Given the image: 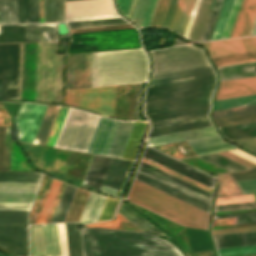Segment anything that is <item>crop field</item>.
<instances>
[{
	"label": "crop field",
	"mask_w": 256,
	"mask_h": 256,
	"mask_svg": "<svg viewBox=\"0 0 256 256\" xmlns=\"http://www.w3.org/2000/svg\"><path fill=\"white\" fill-rule=\"evenodd\" d=\"M237 144L241 145L242 147L256 153V137L248 138V139H241L235 140Z\"/></svg>",
	"instance_id": "obj_68"
},
{
	"label": "crop field",
	"mask_w": 256,
	"mask_h": 256,
	"mask_svg": "<svg viewBox=\"0 0 256 256\" xmlns=\"http://www.w3.org/2000/svg\"><path fill=\"white\" fill-rule=\"evenodd\" d=\"M156 3H157V0H150L149 5H148V8H147V11H146V14H145V17H144V20H143V23H142V26H141V27H148V26H149V23H150V20H151L152 15H153V12H154V9H155V6H156Z\"/></svg>",
	"instance_id": "obj_69"
},
{
	"label": "crop field",
	"mask_w": 256,
	"mask_h": 256,
	"mask_svg": "<svg viewBox=\"0 0 256 256\" xmlns=\"http://www.w3.org/2000/svg\"><path fill=\"white\" fill-rule=\"evenodd\" d=\"M31 204L0 203V210H28Z\"/></svg>",
	"instance_id": "obj_70"
},
{
	"label": "crop field",
	"mask_w": 256,
	"mask_h": 256,
	"mask_svg": "<svg viewBox=\"0 0 256 256\" xmlns=\"http://www.w3.org/2000/svg\"><path fill=\"white\" fill-rule=\"evenodd\" d=\"M230 152H232V153H234V154H236V155H238L242 158H245V159H247V160L256 164V158H254V157H252V156H250V155H248V154H246V153H244L240 150H234V151H230Z\"/></svg>",
	"instance_id": "obj_78"
},
{
	"label": "crop field",
	"mask_w": 256,
	"mask_h": 256,
	"mask_svg": "<svg viewBox=\"0 0 256 256\" xmlns=\"http://www.w3.org/2000/svg\"><path fill=\"white\" fill-rule=\"evenodd\" d=\"M134 178L209 213L210 198L160 174L139 166Z\"/></svg>",
	"instance_id": "obj_5"
},
{
	"label": "crop field",
	"mask_w": 256,
	"mask_h": 256,
	"mask_svg": "<svg viewBox=\"0 0 256 256\" xmlns=\"http://www.w3.org/2000/svg\"><path fill=\"white\" fill-rule=\"evenodd\" d=\"M0 246L16 255H28V228L0 227Z\"/></svg>",
	"instance_id": "obj_15"
},
{
	"label": "crop field",
	"mask_w": 256,
	"mask_h": 256,
	"mask_svg": "<svg viewBox=\"0 0 256 256\" xmlns=\"http://www.w3.org/2000/svg\"><path fill=\"white\" fill-rule=\"evenodd\" d=\"M216 127L256 121V113L213 119ZM223 138L230 140L256 136V122L218 128ZM226 140V141H227Z\"/></svg>",
	"instance_id": "obj_11"
},
{
	"label": "crop field",
	"mask_w": 256,
	"mask_h": 256,
	"mask_svg": "<svg viewBox=\"0 0 256 256\" xmlns=\"http://www.w3.org/2000/svg\"><path fill=\"white\" fill-rule=\"evenodd\" d=\"M124 23H127V22L125 20H123L122 18H116V19L72 22V23H67V25H68L69 29H74V28H84V27L124 24Z\"/></svg>",
	"instance_id": "obj_50"
},
{
	"label": "crop field",
	"mask_w": 256,
	"mask_h": 256,
	"mask_svg": "<svg viewBox=\"0 0 256 256\" xmlns=\"http://www.w3.org/2000/svg\"><path fill=\"white\" fill-rule=\"evenodd\" d=\"M42 176L40 173L0 172V182L39 183Z\"/></svg>",
	"instance_id": "obj_35"
},
{
	"label": "crop field",
	"mask_w": 256,
	"mask_h": 256,
	"mask_svg": "<svg viewBox=\"0 0 256 256\" xmlns=\"http://www.w3.org/2000/svg\"><path fill=\"white\" fill-rule=\"evenodd\" d=\"M4 126H0V170L9 171L10 146L9 153H6V145H3ZM11 138V133H10Z\"/></svg>",
	"instance_id": "obj_55"
},
{
	"label": "crop field",
	"mask_w": 256,
	"mask_h": 256,
	"mask_svg": "<svg viewBox=\"0 0 256 256\" xmlns=\"http://www.w3.org/2000/svg\"><path fill=\"white\" fill-rule=\"evenodd\" d=\"M46 107V105L21 104L15 119L21 142H33Z\"/></svg>",
	"instance_id": "obj_12"
},
{
	"label": "crop field",
	"mask_w": 256,
	"mask_h": 256,
	"mask_svg": "<svg viewBox=\"0 0 256 256\" xmlns=\"http://www.w3.org/2000/svg\"><path fill=\"white\" fill-rule=\"evenodd\" d=\"M130 28H134V27H132L130 24H124V25H114V26L74 29V30H70V32H71V34H77V33L98 32V31L130 29Z\"/></svg>",
	"instance_id": "obj_58"
},
{
	"label": "crop field",
	"mask_w": 256,
	"mask_h": 256,
	"mask_svg": "<svg viewBox=\"0 0 256 256\" xmlns=\"http://www.w3.org/2000/svg\"><path fill=\"white\" fill-rule=\"evenodd\" d=\"M219 154L224 156V157H227V158H229L231 160H234V161H236V162H238L240 164H243V165H245V166H247L249 168H252V167L256 166L255 164H253V163H251V162H249V161H247L245 159H242V158H240V157H238V156H236V155H234V154H232L230 152L219 153Z\"/></svg>",
	"instance_id": "obj_71"
},
{
	"label": "crop field",
	"mask_w": 256,
	"mask_h": 256,
	"mask_svg": "<svg viewBox=\"0 0 256 256\" xmlns=\"http://www.w3.org/2000/svg\"><path fill=\"white\" fill-rule=\"evenodd\" d=\"M117 86L67 90L65 104L113 117Z\"/></svg>",
	"instance_id": "obj_6"
},
{
	"label": "crop field",
	"mask_w": 256,
	"mask_h": 256,
	"mask_svg": "<svg viewBox=\"0 0 256 256\" xmlns=\"http://www.w3.org/2000/svg\"><path fill=\"white\" fill-rule=\"evenodd\" d=\"M233 0H224L210 40L219 39Z\"/></svg>",
	"instance_id": "obj_49"
},
{
	"label": "crop field",
	"mask_w": 256,
	"mask_h": 256,
	"mask_svg": "<svg viewBox=\"0 0 256 256\" xmlns=\"http://www.w3.org/2000/svg\"><path fill=\"white\" fill-rule=\"evenodd\" d=\"M111 159L93 155L82 185L99 191Z\"/></svg>",
	"instance_id": "obj_21"
},
{
	"label": "crop field",
	"mask_w": 256,
	"mask_h": 256,
	"mask_svg": "<svg viewBox=\"0 0 256 256\" xmlns=\"http://www.w3.org/2000/svg\"><path fill=\"white\" fill-rule=\"evenodd\" d=\"M200 158H202L212 164H215L229 172L243 171V170L249 169L243 165L233 162V161H231L227 158H224L218 154L200 156Z\"/></svg>",
	"instance_id": "obj_43"
},
{
	"label": "crop field",
	"mask_w": 256,
	"mask_h": 256,
	"mask_svg": "<svg viewBox=\"0 0 256 256\" xmlns=\"http://www.w3.org/2000/svg\"><path fill=\"white\" fill-rule=\"evenodd\" d=\"M252 201L250 195L217 198L216 205Z\"/></svg>",
	"instance_id": "obj_63"
},
{
	"label": "crop field",
	"mask_w": 256,
	"mask_h": 256,
	"mask_svg": "<svg viewBox=\"0 0 256 256\" xmlns=\"http://www.w3.org/2000/svg\"><path fill=\"white\" fill-rule=\"evenodd\" d=\"M209 52L210 58L254 51L256 50V36L239 39L199 43Z\"/></svg>",
	"instance_id": "obj_14"
},
{
	"label": "crop field",
	"mask_w": 256,
	"mask_h": 256,
	"mask_svg": "<svg viewBox=\"0 0 256 256\" xmlns=\"http://www.w3.org/2000/svg\"><path fill=\"white\" fill-rule=\"evenodd\" d=\"M217 250H218L219 256L256 253V245L244 246V247H233V248H222Z\"/></svg>",
	"instance_id": "obj_57"
},
{
	"label": "crop field",
	"mask_w": 256,
	"mask_h": 256,
	"mask_svg": "<svg viewBox=\"0 0 256 256\" xmlns=\"http://www.w3.org/2000/svg\"><path fill=\"white\" fill-rule=\"evenodd\" d=\"M142 84H138L133 120H138Z\"/></svg>",
	"instance_id": "obj_74"
},
{
	"label": "crop field",
	"mask_w": 256,
	"mask_h": 256,
	"mask_svg": "<svg viewBox=\"0 0 256 256\" xmlns=\"http://www.w3.org/2000/svg\"><path fill=\"white\" fill-rule=\"evenodd\" d=\"M212 3L213 0H201L188 39L194 42H198L200 40Z\"/></svg>",
	"instance_id": "obj_27"
},
{
	"label": "crop field",
	"mask_w": 256,
	"mask_h": 256,
	"mask_svg": "<svg viewBox=\"0 0 256 256\" xmlns=\"http://www.w3.org/2000/svg\"><path fill=\"white\" fill-rule=\"evenodd\" d=\"M143 156L213 189L215 178L203 172L187 166L149 147L145 148Z\"/></svg>",
	"instance_id": "obj_13"
},
{
	"label": "crop field",
	"mask_w": 256,
	"mask_h": 256,
	"mask_svg": "<svg viewBox=\"0 0 256 256\" xmlns=\"http://www.w3.org/2000/svg\"><path fill=\"white\" fill-rule=\"evenodd\" d=\"M235 181L256 179V168L248 172L231 173ZM243 194L256 193V180L237 182Z\"/></svg>",
	"instance_id": "obj_41"
},
{
	"label": "crop field",
	"mask_w": 256,
	"mask_h": 256,
	"mask_svg": "<svg viewBox=\"0 0 256 256\" xmlns=\"http://www.w3.org/2000/svg\"><path fill=\"white\" fill-rule=\"evenodd\" d=\"M213 91L145 103L146 116L210 104Z\"/></svg>",
	"instance_id": "obj_10"
},
{
	"label": "crop field",
	"mask_w": 256,
	"mask_h": 256,
	"mask_svg": "<svg viewBox=\"0 0 256 256\" xmlns=\"http://www.w3.org/2000/svg\"><path fill=\"white\" fill-rule=\"evenodd\" d=\"M76 189H77L76 187H73L68 184L66 185L65 190L63 192V195L61 197V200L59 202V205L57 207V210L55 212V215H54L51 223H57V222L64 221Z\"/></svg>",
	"instance_id": "obj_38"
},
{
	"label": "crop field",
	"mask_w": 256,
	"mask_h": 256,
	"mask_svg": "<svg viewBox=\"0 0 256 256\" xmlns=\"http://www.w3.org/2000/svg\"><path fill=\"white\" fill-rule=\"evenodd\" d=\"M39 184H3L0 183V192L35 193Z\"/></svg>",
	"instance_id": "obj_52"
},
{
	"label": "crop field",
	"mask_w": 256,
	"mask_h": 256,
	"mask_svg": "<svg viewBox=\"0 0 256 256\" xmlns=\"http://www.w3.org/2000/svg\"><path fill=\"white\" fill-rule=\"evenodd\" d=\"M66 1H71V0H66Z\"/></svg>",
	"instance_id": "obj_80"
},
{
	"label": "crop field",
	"mask_w": 256,
	"mask_h": 256,
	"mask_svg": "<svg viewBox=\"0 0 256 256\" xmlns=\"http://www.w3.org/2000/svg\"><path fill=\"white\" fill-rule=\"evenodd\" d=\"M255 103H256V95L218 100V101H215L214 110L235 107V106L255 104Z\"/></svg>",
	"instance_id": "obj_47"
},
{
	"label": "crop field",
	"mask_w": 256,
	"mask_h": 256,
	"mask_svg": "<svg viewBox=\"0 0 256 256\" xmlns=\"http://www.w3.org/2000/svg\"><path fill=\"white\" fill-rule=\"evenodd\" d=\"M211 61L215 67L243 63V62L256 61V51L249 52V53H243V54H237V55H231V56H225V57H219V58H213V59H211Z\"/></svg>",
	"instance_id": "obj_44"
},
{
	"label": "crop field",
	"mask_w": 256,
	"mask_h": 256,
	"mask_svg": "<svg viewBox=\"0 0 256 256\" xmlns=\"http://www.w3.org/2000/svg\"><path fill=\"white\" fill-rule=\"evenodd\" d=\"M44 40H56L55 24L0 26V43Z\"/></svg>",
	"instance_id": "obj_9"
},
{
	"label": "crop field",
	"mask_w": 256,
	"mask_h": 256,
	"mask_svg": "<svg viewBox=\"0 0 256 256\" xmlns=\"http://www.w3.org/2000/svg\"><path fill=\"white\" fill-rule=\"evenodd\" d=\"M28 211H0V226H27Z\"/></svg>",
	"instance_id": "obj_40"
},
{
	"label": "crop field",
	"mask_w": 256,
	"mask_h": 256,
	"mask_svg": "<svg viewBox=\"0 0 256 256\" xmlns=\"http://www.w3.org/2000/svg\"><path fill=\"white\" fill-rule=\"evenodd\" d=\"M19 44L0 45V99H18Z\"/></svg>",
	"instance_id": "obj_7"
},
{
	"label": "crop field",
	"mask_w": 256,
	"mask_h": 256,
	"mask_svg": "<svg viewBox=\"0 0 256 256\" xmlns=\"http://www.w3.org/2000/svg\"><path fill=\"white\" fill-rule=\"evenodd\" d=\"M30 256H46L42 225L29 226Z\"/></svg>",
	"instance_id": "obj_33"
},
{
	"label": "crop field",
	"mask_w": 256,
	"mask_h": 256,
	"mask_svg": "<svg viewBox=\"0 0 256 256\" xmlns=\"http://www.w3.org/2000/svg\"><path fill=\"white\" fill-rule=\"evenodd\" d=\"M57 227H58L61 255L68 256L64 223L57 224Z\"/></svg>",
	"instance_id": "obj_65"
},
{
	"label": "crop field",
	"mask_w": 256,
	"mask_h": 256,
	"mask_svg": "<svg viewBox=\"0 0 256 256\" xmlns=\"http://www.w3.org/2000/svg\"><path fill=\"white\" fill-rule=\"evenodd\" d=\"M256 94V77L220 82L215 100Z\"/></svg>",
	"instance_id": "obj_18"
},
{
	"label": "crop field",
	"mask_w": 256,
	"mask_h": 256,
	"mask_svg": "<svg viewBox=\"0 0 256 256\" xmlns=\"http://www.w3.org/2000/svg\"><path fill=\"white\" fill-rule=\"evenodd\" d=\"M47 256H61L56 224L43 225Z\"/></svg>",
	"instance_id": "obj_36"
},
{
	"label": "crop field",
	"mask_w": 256,
	"mask_h": 256,
	"mask_svg": "<svg viewBox=\"0 0 256 256\" xmlns=\"http://www.w3.org/2000/svg\"><path fill=\"white\" fill-rule=\"evenodd\" d=\"M222 2L223 0H214L210 15L208 17V20L200 41H207L210 39Z\"/></svg>",
	"instance_id": "obj_48"
},
{
	"label": "crop field",
	"mask_w": 256,
	"mask_h": 256,
	"mask_svg": "<svg viewBox=\"0 0 256 256\" xmlns=\"http://www.w3.org/2000/svg\"><path fill=\"white\" fill-rule=\"evenodd\" d=\"M35 194L0 193V202L31 203Z\"/></svg>",
	"instance_id": "obj_54"
},
{
	"label": "crop field",
	"mask_w": 256,
	"mask_h": 256,
	"mask_svg": "<svg viewBox=\"0 0 256 256\" xmlns=\"http://www.w3.org/2000/svg\"><path fill=\"white\" fill-rule=\"evenodd\" d=\"M127 200L181 226L207 229L209 214L137 180H133Z\"/></svg>",
	"instance_id": "obj_2"
},
{
	"label": "crop field",
	"mask_w": 256,
	"mask_h": 256,
	"mask_svg": "<svg viewBox=\"0 0 256 256\" xmlns=\"http://www.w3.org/2000/svg\"><path fill=\"white\" fill-rule=\"evenodd\" d=\"M39 22V0H18V23Z\"/></svg>",
	"instance_id": "obj_30"
},
{
	"label": "crop field",
	"mask_w": 256,
	"mask_h": 256,
	"mask_svg": "<svg viewBox=\"0 0 256 256\" xmlns=\"http://www.w3.org/2000/svg\"><path fill=\"white\" fill-rule=\"evenodd\" d=\"M100 117L72 108L56 147L87 152Z\"/></svg>",
	"instance_id": "obj_4"
},
{
	"label": "crop field",
	"mask_w": 256,
	"mask_h": 256,
	"mask_svg": "<svg viewBox=\"0 0 256 256\" xmlns=\"http://www.w3.org/2000/svg\"><path fill=\"white\" fill-rule=\"evenodd\" d=\"M118 213L137 226L142 232H150L156 236H164L166 239L170 238L124 203H121Z\"/></svg>",
	"instance_id": "obj_24"
},
{
	"label": "crop field",
	"mask_w": 256,
	"mask_h": 256,
	"mask_svg": "<svg viewBox=\"0 0 256 256\" xmlns=\"http://www.w3.org/2000/svg\"><path fill=\"white\" fill-rule=\"evenodd\" d=\"M140 164L143 165V166H145V167H147V168H149V169H151V170H153V171H155V172H158V173H160V174H162V175H164V176H166V177H168V178H170V179H172V180H174V181H177V182H179V183H181V184H183V185H185V186H187V187H189V188H191V189H194V190H196V191H198V192H200V193H202V194H204V195H206V196H208V197H210V198H211V196H212L211 193H209V192H207V191H205V190H203V189H200V188H198V187H196V186H194V185H192V184H190V183H187V182H185V181H183V180H181V179H179V178H176V177H174V176H172V175H170V174H168V173H166V172H163V171H161V170H159V169H157V168H155V167H152V166H150V165H148V164H146V163H144V162H142V161H141ZM141 165H140V166H141ZM143 166H142V167H143Z\"/></svg>",
	"instance_id": "obj_56"
},
{
	"label": "crop field",
	"mask_w": 256,
	"mask_h": 256,
	"mask_svg": "<svg viewBox=\"0 0 256 256\" xmlns=\"http://www.w3.org/2000/svg\"><path fill=\"white\" fill-rule=\"evenodd\" d=\"M250 112H256V104L255 105H249V106H243V107L217 110V111L213 112L212 118L222 117V116H229V115H236V114H243V113H250Z\"/></svg>",
	"instance_id": "obj_53"
},
{
	"label": "crop field",
	"mask_w": 256,
	"mask_h": 256,
	"mask_svg": "<svg viewBox=\"0 0 256 256\" xmlns=\"http://www.w3.org/2000/svg\"><path fill=\"white\" fill-rule=\"evenodd\" d=\"M256 231V226L213 230L212 235Z\"/></svg>",
	"instance_id": "obj_66"
},
{
	"label": "crop field",
	"mask_w": 256,
	"mask_h": 256,
	"mask_svg": "<svg viewBox=\"0 0 256 256\" xmlns=\"http://www.w3.org/2000/svg\"><path fill=\"white\" fill-rule=\"evenodd\" d=\"M189 143L192 145V147L195 149L196 152L230 146V145L226 144L225 142L221 141L219 136L193 140V141H189ZM232 147L217 149V150H211V151H205V152H199L198 155L220 152V151H226V150H232V149L235 148V147L234 148H232Z\"/></svg>",
	"instance_id": "obj_32"
},
{
	"label": "crop field",
	"mask_w": 256,
	"mask_h": 256,
	"mask_svg": "<svg viewBox=\"0 0 256 256\" xmlns=\"http://www.w3.org/2000/svg\"><path fill=\"white\" fill-rule=\"evenodd\" d=\"M216 248L255 245L256 232L213 236Z\"/></svg>",
	"instance_id": "obj_25"
},
{
	"label": "crop field",
	"mask_w": 256,
	"mask_h": 256,
	"mask_svg": "<svg viewBox=\"0 0 256 256\" xmlns=\"http://www.w3.org/2000/svg\"><path fill=\"white\" fill-rule=\"evenodd\" d=\"M150 54L152 76L209 65L205 53L189 45L151 51Z\"/></svg>",
	"instance_id": "obj_3"
},
{
	"label": "crop field",
	"mask_w": 256,
	"mask_h": 256,
	"mask_svg": "<svg viewBox=\"0 0 256 256\" xmlns=\"http://www.w3.org/2000/svg\"><path fill=\"white\" fill-rule=\"evenodd\" d=\"M201 111L149 121L151 131L147 138L212 126L207 114Z\"/></svg>",
	"instance_id": "obj_8"
},
{
	"label": "crop field",
	"mask_w": 256,
	"mask_h": 256,
	"mask_svg": "<svg viewBox=\"0 0 256 256\" xmlns=\"http://www.w3.org/2000/svg\"><path fill=\"white\" fill-rule=\"evenodd\" d=\"M89 193H90L89 191L82 190L79 188L77 189L76 194L74 196V199L72 201V204L70 206V209L68 211V214H67L64 222L79 220Z\"/></svg>",
	"instance_id": "obj_37"
},
{
	"label": "crop field",
	"mask_w": 256,
	"mask_h": 256,
	"mask_svg": "<svg viewBox=\"0 0 256 256\" xmlns=\"http://www.w3.org/2000/svg\"><path fill=\"white\" fill-rule=\"evenodd\" d=\"M253 66H256V62L237 64L225 67L217 68L220 81L242 78L256 75V71Z\"/></svg>",
	"instance_id": "obj_26"
},
{
	"label": "crop field",
	"mask_w": 256,
	"mask_h": 256,
	"mask_svg": "<svg viewBox=\"0 0 256 256\" xmlns=\"http://www.w3.org/2000/svg\"><path fill=\"white\" fill-rule=\"evenodd\" d=\"M45 22L64 21V0H44Z\"/></svg>",
	"instance_id": "obj_39"
},
{
	"label": "crop field",
	"mask_w": 256,
	"mask_h": 256,
	"mask_svg": "<svg viewBox=\"0 0 256 256\" xmlns=\"http://www.w3.org/2000/svg\"><path fill=\"white\" fill-rule=\"evenodd\" d=\"M146 123L135 122L121 158L132 160Z\"/></svg>",
	"instance_id": "obj_34"
},
{
	"label": "crop field",
	"mask_w": 256,
	"mask_h": 256,
	"mask_svg": "<svg viewBox=\"0 0 256 256\" xmlns=\"http://www.w3.org/2000/svg\"><path fill=\"white\" fill-rule=\"evenodd\" d=\"M134 122L121 121L107 155L120 158Z\"/></svg>",
	"instance_id": "obj_29"
},
{
	"label": "crop field",
	"mask_w": 256,
	"mask_h": 256,
	"mask_svg": "<svg viewBox=\"0 0 256 256\" xmlns=\"http://www.w3.org/2000/svg\"><path fill=\"white\" fill-rule=\"evenodd\" d=\"M256 222V216L236 218L235 224Z\"/></svg>",
	"instance_id": "obj_79"
},
{
	"label": "crop field",
	"mask_w": 256,
	"mask_h": 256,
	"mask_svg": "<svg viewBox=\"0 0 256 256\" xmlns=\"http://www.w3.org/2000/svg\"><path fill=\"white\" fill-rule=\"evenodd\" d=\"M193 3L194 0H187L176 32L183 34Z\"/></svg>",
	"instance_id": "obj_59"
},
{
	"label": "crop field",
	"mask_w": 256,
	"mask_h": 256,
	"mask_svg": "<svg viewBox=\"0 0 256 256\" xmlns=\"http://www.w3.org/2000/svg\"><path fill=\"white\" fill-rule=\"evenodd\" d=\"M17 23V0H0V24Z\"/></svg>",
	"instance_id": "obj_42"
},
{
	"label": "crop field",
	"mask_w": 256,
	"mask_h": 256,
	"mask_svg": "<svg viewBox=\"0 0 256 256\" xmlns=\"http://www.w3.org/2000/svg\"><path fill=\"white\" fill-rule=\"evenodd\" d=\"M123 15H126L130 0H116Z\"/></svg>",
	"instance_id": "obj_75"
},
{
	"label": "crop field",
	"mask_w": 256,
	"mask_h": 256,
	"mask_svg": "<svg viewBox=\"0 0 256 256\" xmlns=\"http://www.w3.org/2000/svg\"><path fill=\"white\" fill-rule=\"evenodd\" d=\"M256 215V212L214 216V219Z\"/></svg>",
	"instance_id": "obj_76"
},
{
	"label": "crop field",
	"mask_w": 256,
	"mask_h": 256,
	"mask_svg": "<svg viewBox=\"0 0 256 256\" xmlns=\"http://www.w3.org/2000/svg\"><path fill=\"white\" fill-rule=\"evenodd\" d=\"M116 202L117 201L114 199H111L109 197L107 198L106 203L104 205V208L102 210V213H101L98 221L107 220L110 218Z\"/></svg>",
	"instance_id": "obj_64"
},
{
	"label": "crop field",
	"mask_w": 256,
	"mask_h": 256,
	"mask_svg": "<svg viewBox=\"0 0 256 256\" xmlns=\"http://www.w3.org/2000/svg\"><path fill=\"white\" fill-rule=\"evenodd\" d=\"M117 220H126V219H124L121 215L117 214L115 220H113V221H106V222L88 224V225H85V226L115 228Z\"/></svg>",
	"instance_id": "obj_73"
},
{
	"label": "crop field",
	"mask_w": 256,
	"mask_h": 256,
	"mask_svg": "<svg viewBox=\"0 0 256 256\" xmlns=\"http://www.w3.org/2000/svg\"><path fill=\"white\" fill-rule=\"evenodd\" d=\"M115 13L112 0L66 2V17Z\"/></svg>",
	"instance_id": "obj_16"
},
{
	"label": "crop field",
	"mask_w": 256,
	"mask_h": 256,
	"mask_svg": "<svg viewBox=\"0 0 256 256\" xmlns=\"http://www.w3.org/2000/svg\"><path fill=\"white\" fill-rule=\"evenodd\" d=\"M76 226V223H65L69 256H81Z\"/></svg>",
	"instance_id": "obj_45"
},
{
	"label": "crop field",
	"mask_w": 256,
	"mask_h": 256,
	"mask_svg": "<svg viewBox=\"0 0 256 256\" xmlns=\"http://www.w3.org/2000/svg\"><path fill=\"white\" fill-rule=\"evenodd\" d=\"M251 1L252 0H243L241 9L239 11V14L230 38H235L240 36ZM255 18H256V0H253L240 37H245L250 35ZM252 35H256V21L250 36Z\"/></svg>",
	"instance_id": "obj_20"
},
{
	"label": "crop field",
	"mask_w": 256,
	"mask_h": 256,
	"mask_svg": "<svg viewBox=\"0 0 256 256\" xmlns=\"http://www.w3.org/2000/svg\"><path fill=\"white\" fill-rule=\"evenodd\" d=\"M138 0H131L128 12L126 17L132 20L133 14L135 12L136 6H137Z\"/></svg>",
	"instance_id": "obj_77"
},
{
	"label": "crop field",
	"mask_w": 256,
	"mask_h": 256,
	"mask_svg": "<svg viewBox=\"0 0 256 256\" xmlns=\"http://www.w3.org/2000/svg\"><path fill=\"white\" fill-rule=\"evenodd\" d=\"M212 76H214V73L210 66L202 67L192 70L154 76L151 79L150 87L185 82L189 80L201 79Z\"/></svg>",
	"instance_id": "obj_19"
},
{
	"label": "crop field",
	"mask_w": 256,
	"mask_h": 256,
	"mask_svg": "<svg viewBox=\"0 0 256 256\" xmlns=\"http://www.w3.org/2000/svg\"><path fill=\"white\" fill-rule=\"evenodd\" d=\"M185 2H186V0H179L176 11H175V14H174V17L172 19V22H171V25H170L169 29L174 30V31L176 30V27H177V24L179 22V19H180V16H181V13H182Z\"/></svg>",
	"instance_id": "obj_67"
},
{
	"label": "crop field",
	"mask_w": 256,
	"mask_h": 256,
	"mask_svg": "<svg viewBox=\"0 0 256 256\" xmlns=\"http://www.w3.org/2000/svg\"><path fill=\"white\" fill-rule=\"evenodd\" d=\"M178 0H171L163 26L162 27H169L170 21L172 19L176 4H177ZM169 0H158L153 18L151 20L150 26H156V27H160L162 20L164 18L167 6H168Z\"/></svg>",
	"instance_id": "obj_31"
},
{
	"label": "crop field",
	"mask_w": 256,
	"mask_h": 256,
	"mask_svg": "<svg viewBox=\"0 0 256 256\" xmlns=\"http://www.w3.org/2000/svg\"><path fill=\"white\" fill-rule=\"evenodd\" d=\"M60 183L61 182H59V181L53 180L52 185L49 189V192L47 194V197L45 199V202L42 206V209L40 211V214H39L35 224H42V223L45 222L46 217L48 215V212L50 210V207L52 205V202H53V200L55 198V195L57 193V190L59 188Z\"/></svg>",
	"instance_id": "obj_46"
},
{
	"label": "crop field",
	"mask_w": 256,
	"mask_h": 256,
	"mask_svg": "<svg viewBox=\"0 0 256 256\" xmlns=\"http://www.w3.org/2000/svg\"><path fill=\"white\" fill-rule=\"evenodd\" d=\"M119 122L102 116L88 152L106 155Z\"/></svg>",
	"instance_id": "obj_17"
},
{
	"label": "crop field",
	"mask_w": 256,
	"mask_h": 256,
	"mask_svg": "<svg viewBox=\"0 0 256 256\" xmlns=\"http://www.w3.org/2000/svg\"><path fill=\"white\" fill-rule=\"evenodd\" d=\"M106 198L91 192L79 221L83 223L97 221Z\"/></svg>",
	"instance_id": "obj_28"
},
{
	"label": "crop field",
	"mask_w": 256,
	"mask_h": 256,
	"mask_svg": "<svg viewBox=\"0 0 256 256\" xmlns=\"http://www.w3.org/2000/svg\"><path fill=\"white\" fill-rule=\"evenodd\" d=\"M241 3H242V0L233 1L230 13L228 15V18L220 39L230 37Z\"/></svg>",
	"instance_id": "obj_51"
},
{
	"label": "crop field",
	"mask_w": 256,
	"mask_h": 256,
	"mask_svg": "<svg viewBox=\"0 0 256 256\" xmlns=\"http://www.w3.org/2000/svg\"><path fill=\"white\" fill-rule=\"evenodd\" d=\"M143 49L93 53L92 87L146 82Z\"/></svg>",
	"instance_id": "obj_1"
},
{
	"label": "crop field",
	"mask_w": 256,
	"mask_h": 256,
	"mask_svg": "<svg viewBox=\"0 0 256 256\" xmlns=\"http://www.w3.org/2000/svg\"><path fill=\"white\" fill-rule=\"evenodd\" d=\"M199 3H200V0H195V3H194V6L192 8V11H191V14H190L187 26H186L184 34H183V36H185L186 38L188 37V34H189L190 28L192 26V23H193V20H194L197 8L199 6Z\"/></svg>",
	"instance_id": "obj_72"
},
{
	"label": "crop field",
	"mask_w": 256,
	"mask_h": 256,
	"mask_svg": "<svg viewBox=\"0 0 256 256\" xmlns=\"http://www.w3.org/2000/svg\"><path fill=\"white\" fill-rule=\"evenodd\" d=\"M131 161L113 158L106 174L103 186L118 190L119 196L127 170Z\"/></svg>",
	"instance_id": "obj_23"
},
{
	"label": "crop field",
	"mask_w": 256,
	"mask_h": 256,
	"mask_svg": "<svg viewBox=\"0 0 256 256\" xmlns=\"http://www.w3.org/2000/svg\"><path fill=\"white\" fill-rule=\"evenodd\" d=\"M250 208H256V202L230 204V205H220V206H216L215 212L229 211V210H239V209H250Z\"/></svg>",
	"instance_id": "obj_60"
},
{
	"label": "crop field",
	"mask_w": 256,
	"mask_h": 256,
	"mask_svg": "<svg viewBox=\"0 0 256 256\" xmlns=\"http://www.w3.org/2000/svg\"><path fill=\"white\" fill-rule=\"evenodd\" d=\"M149 0H139L132 22L141 26Z\"/></svg>",
	"instance_id": "obj_61"
},
{
	"label": "crop field",
	"mask_w": 256,
	"mask_h": 256,
	"mask_svg": "<svg viewBox=\"0 0 256 256\" xmlns=\"http://www.w3.org/2000/svg\"><path fill=\"white\" fill-rule=\"evenodd\" d=\"M216 135L213 127L147 139L150 147Z\"/></svg>",
	"instance_id": "obj_22"
},
{
	"label": "crop field",
	"mask_w": 256,
	"mask_h": 256,
	"mask_svg": "<svg viewBox=\"0 0 256 256\" xmlns=\"http://www.w3.org/2000/svg\"><path fill=\"white\" fill-rule=\"evenodd\" d=\"M209 108H210V105L197 107V108H192V109L181 110V111H175V112H170V113H164V114H159V115H154V116H148L147 118L149 120H151V119H157V118L168 117V116H173V115H179V114H185V113L196 112V111H201V110H207Z\"/></svg>",
	"instance_id": "obj_62"
}]
</instances>
